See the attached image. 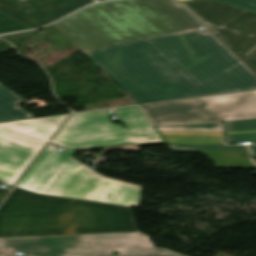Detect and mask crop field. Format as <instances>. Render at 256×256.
I'll return each instance as SVG.
<instances>
[{
    "mask_svg": "<svg viewBox=\"0 0 256 256\" xmlns=\"http://www.w3.org/2000/svg\"><path fill=\"white\" fill-rule=\"evenodd\" d=\"M8 192V190L6 189H0V201L2 200V198L5 196V194Z\"/></svg>",
    "mask_w": 256,
    "mask_h": 256,
    "instance_id": "20",
    "label": "crop field"
},
{
    "mask_svg": "<svg viewBox=\"0 0 256 256\" xmlns=\"http://www.w3.org/2000/svg\"><path fill=\"white\" fill-rule=\"evenodd\" d=\"M226 143L252 141L256 144V120L224 122Z\"/></svg>",
    "mask_w": 256,
    "mask_h": 256,
    "instance_id": "13",
    "label": "crop field"
},
{
    "mask_svg": "<svg viewBox=\"0 0 256 256\" xmlns=\"http://www.w3.org/2000/svg\"><path fill=\"white\" fill-rule=\"evenodd\" d=\"M174 0H117L56 24L138 104L256 89V75Z\"/></svg>",
    "mask_w": 256,
    "mask_h": 256,
    "instance_id": "1",
    "label": "crop field"
},
{
    "mask_svg": "<svg viewBox=\"0 0 256 256\" xmlns=\"http://www.w3.org/2000/svg\"><path fill=\"white\" fill-rule=\"evenodd\" d=\"M106 151L110 150H118V149H125L126 151L128 150H133V151H140L139 146L136 145H126V146H116V147H106L103 148Z\"/></svg>",
    "mask_w": 256,
    "mask_h": 256,
    "instance_id": "16",
    "label": "crop field"
},
{
    "mask_svg": "<svg viewBox=\"0 0 256 256\" xmlns=\"http://www.w3.org/2000/svg\"><path fill=\"white\" fill-rule=\"evenodd\" d=\"M22 98L0 84V122L34 118L19 107Z\"/></svg>",
    "mask_w": 256,
    "mask_h": 256,
    "instance_id": "12",
    "label": "crop field"
},
{
    "mask_svg": "<svg viewBox=\"0 0 256 256\" xmlns=\"http://www.w3.org/2000/svg\"><path fill=\"white\" fill-rule=\"evenodd\" d=\"M93 0H0V11L38 28L92 3Z\"/></svg>",
    "mask_w": 256,
    "mask_h": 256,
    "instance_id": "9",
    "label": "crop field"
},
{
    "mask_svg": "<svg viewBox=\"0 0 256 256\" xmlns=\"http://www.w3.org/2000/svg\"><path fill=\"white\" fill-rule=\"evenodd\" d=\"M43 150L17 188L37 194L138 207L141 187L108 179L73 159V151Z\"/></svg>",
    "mask_w": 256,
    "mask_h": 256,
    "instance_id": "3",
    "label": "crop field"
},
{
    "mask_svg": "<svg viewBox=\"0 0 256 256\" xmlns=\"http://www.w3.org/2000/svg\"><path fill=\"white\" fill-rule=\"evenodd\" d=\"M25 29L31 28L0 12V34Z\"/></svg>",
    "mask_w": 256,
    "mask_h": 256,
    "instance_id": "14",
    "label": "crop field"
},
{
    "mask_svg": "<svg viewBox=\"0 0 256 256\" xmlns=\"http://www.w3.org/2000/svg\"><path fill=\"white\" fill-rule=\"evenodd\" d=\"M251 11H256V0H220Z\"/></svg>",
    "mask_w": 256,
    "mask_h": 256,
    "instance_id": "15",
    "label": "crop field"
},
{
    "mask_svg": "<svg viewBox=\"0 0 256 256\" xmlns=\"http://www.w3.org/2000/svg\"><path fill=\"white\" fill-rule=\"evenodd\" d=\"M139 232L129 207L15 188L0 207V238Z\"/></svg>",
    "mask_w": 256,
    "mask_h": 256,
    "instance_id": "2",
    "label": "crop field"
},
{
    "mask_svg": "<svg viewBox=\"0 0 256 256\" xmlns=\"http://www.w3.org/2000/svg\"><path fill=\"white\" fill-rule=\"evenodd\" d=\"M126 124L110 122L108 110L73 114L50 142L68 149H88L126 143H164L156 129L150 125L140 107L114 109Z\"/></svg>",
    "mask_w": 256,
    "mask_h": 256,
    "instance_id": "4",
    "label": "crop field"
},
{
    "mask_svg": "<svg viewBox=\"0 0 256 256\" xmlns=\"http://www.w3.org/2000/svg\"><path fill=\"white\" fill-rule=\"evenodd\" d=\"M68 115L0 123V182L13 186Z\"/></svg>",
    "mask_w": 256,
    "mask_h": 256,
    "instance_id": "7",
    "label": "crop field"
},
{
    "mask_svg": "<svg viewBox=\"0 0 256 256\" xmlns=\"http://www.w3.org/2000/svg\"><path fill=\"white\" fill-rule=\"evenodd\" d=\"M0 250H14L36 256H182L153 248L140 233L53 236L0 239Z\"/></svg>",
    "mask_w": 256,
    "mask_h": 256,
    "instance_id": "5",
    "label": "crop field"
},
{
    "mask_svg": "<svg viewBox=\"0 0 256 256\" xmlns=\"http://www.w3.org/2000/svg\"><path fill=\"white\" fill-rule=\"evenodd\" d=\"M256 74V14L224 3L181 2Z\"/></svg>",
    "mask_w": 256,
    "mask_h": 256,
    "instance_id": "8",
    "label": "crop field"
},
{
    "mask_svg": "<svg viewBox=\"0 0 256 256\" xmlns=\"http://www.w3.org/2000/svg\"><path fill=\"white\" fill-rule=\"evenodd\" d=\"M37 32H38V30L37 31H33V32H28V33H22V34L10 35V36H2L0 38L10 39V38H16V37H23V36L33 35V34H35Z\"/></svg>",
    "mask_w": 256,
    "mask_h": 256,
    "instance_id": "17",
    "label": "crop field"
},
{
    "mask_svg": "<svg viewBox=\"0 0 256 256\" xmlns=\"http://www.w3.org/2000/svg\"><path fill=\"white\" fill-rule=\"evenodd\" d=\"M0 51H2V41H0Z\"/></svg>",
    "mask_w": 256,
    "mask_h": 256,
    "instance_id": "21",
    "label": "crop field"
},
{
    "mask_svg": "<svg viewBox=\"0 0 256 256\" xmlns=\"http://www.w3.org/2000/svg\"><path fill=\"white\" fill-rule=\"evenodd\" d=\"M165 143L221 144V124L157 128ZM157 131V132H158Z\"/></svg>",
    "mask_w": 256,
    "mask_h": 256,
    "instance_id": "11",
    "label": "crop field"
},
{
    "mask_svg": "<svg viewBox=\"0 0 256 256\" xmlns=\"http://www.w3.org/2000/svg\"><path fill=\"white\" fill-rule=\"evenodd\" d=\"M154 126L256 119V90L143 105Z\"/></svg>",
    "mask_w": 256,
    "mask_h": 256,
    "instance_id": "6",
    "label": "crop field"
},
{
    "mask_svg": "<svg viewBox=\"0 0 256 256\" xmlns=\"http://www.w3.org/2000/svg\"><path fill=\"white\" fill-rule=\"evenodd\" d=\"M0 256H20V255L14 254L9 251H5V252H0ZM24 256H29V255H24Z\"/></svg>",
    "mask_w": 256,
    "mask_h": 256,
    "instance_id": "18",
    "label": "crop field"
},
{
    "mask_svg": "<svg viewBox=\"0 0 256 256\" xmlns=\"http://www.w3.org/2000/svg\"><path fill=\"white\" fill-rule=\"evenodd\" d=\"M173 151L201 152L207 155L218 168H256L249 158L246 146H196L169 145Z\"/></svg>",
    "mask_w": 256,
    "mask_h": 256,
    "instance_id": "10",
    "label": "crop field"
},
{
    "mask_svg": "<svg viewBox=\"0 0 256 256\" xmlns=\"http://www.w3.org/2000/svg\"><path fill=\"white\" fill-rule=\"evenodd\" d=\"M251 156H256V146H249Z\"/></svg>",
    "mask_w": 256,
    "mask_h": 256,
    "instance_id": "19",
    "label": "crop field"
}]
</instances>
